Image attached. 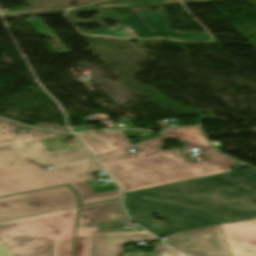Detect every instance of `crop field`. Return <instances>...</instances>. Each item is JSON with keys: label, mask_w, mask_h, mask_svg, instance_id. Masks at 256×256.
I'll return each instance as SVG.
<instances>
[{"label": "crop field", "mask_w": 256, "mask_h": 256, "mask_svg": "<svg viewBox=\"0 0 256 256\" xmlns=\"http://www.w3.org/2000/svg\"><path fill=\"white\" fill-rule=\"evenodd\" d=\"M160 134L161 137L97 157L125 193L231 172L227 164L236 163L218 152L203 154L210 160L191 163L178 149L161 151L162 140L167 137L183 141L184 154L194 148L200 152L214 150L197 128L164 130ZM134 147L140 152L131 154L128 149Z\"/></svg>", "instance_id": "8a807250"}, {"label": "crop field", "mask_w": 256, "mask_h": 256, "mask_svg": "<svg viewBox=\"0 0 256 256\" xmlns=\"http://www.w3.org/2000/svg\"><path fill=\"white\" fill-rule=\"evenodd\" d=\"M134 198L236 221L256 216V170L252 168L129 193Z\"/></svg>", "instance_id": "ac0d7876"}, {"label": "crop field", "mask_w": 256, "mask_h": 256, "mask_svg": "<svg viewBox=\"0 0 256 256\" xmlns=\"http://www.w3.org/2000/svg\"><path fill=\"white\" fill-rule=\"evenodd\" d=\"M100 170L84 147L51 153L38 141L0 148V196L94 180Z\"/></svg>", "instance_id": "34b2d1b8"}, {"label": "crop field", "mask_w": 256, "mask_h": 256, "mask_svg": "<svg viewBox=\"0 0 256 256\" xmlns=\"http://www.w3.org/2000/svg\"><path fill=\"white\" fill-rule=\"evenodd\" d=\"M79 208L0 222V238L15 256H53V243L74 239Z\"/></svg>", "instance_id": "412701ff"}, {"label": "crop field", "mask_w": 256, "mask_h": 256, "mask_svg": "<svg viewBox=\"0 0 256 256\" xmlns=\"http://www.w3.org/2000/svg\"><path fill=\"white\" fill-rule=\"evenodd\" d=\"M124 203L131 219L156 236L227 223L195 213L138 201L124 199ZM152 213L167 219L157 221L151 217Z\"/></svg>", "instance_id": "f4fd0767"}, {"label": "crop field", "mask_w": 256, "mask_h": 256, "mask_svg": "<svg viewBox=\"0 0 256 256\" xmlns=\"http://www.w3.org/2000/svg\"><path fill=\"white\" fill-rule=\"evenodd\" d=\"M35 202L37 206L29 203ZM78 206L67 186L0 198V221Z\"/></svg>", "instance_id": "dd49c442"}, {"label": "crop field", "mask_w": 256, "mask_h": 256, "mask_svg": "<svg viewBox=\"0 0 256 256\" xmlns=\"http://www.w3.org/2000/svg\"><path fill=\"white\" fill-rule=\"evenodd\" d=\"M165 243L192 256H232L219 225L177 233Z\"/></svg>", "instance_id": "e52e79f7"}, {"label": "crop field", "mask_w": 256, "mask_h": 256, "mask_svg": "<svg viewBox=\"0 0 256 256\" xmlns=\"http://www.w3.org/2000/svg\"><path fill=\"white\" fill-rule=\"evenodd\" d=\"M76 237H96L100 256L123 253L122 246L131 242L157 240L146 231L98 233V228H77Z\"/></svg>", "instance_id": "d8731c3e"}, {"label": "crop field", "mask_w": 256, "mask_h": 256, "mask_svg": "<svg viewBox=\"0 0 256 256\" xmlns=\"http://www.w3.org/2000/svg\"><path fill=\"white\" fill-rule=\"evenodd\" d=\"M233 256H256V219L220 225Z\"/></svg>", "instance_id": "5a996713"}, {"label": "crop field", "mask_w": 256, "mask_h": 256, "mask_svg": "<svg viewBox=\"0 0 256 256\" xmlns=\"http://www.w3.org/2000/svg\"><path fill=\"white\" fill-rule=\"evenodd\" d=\"M119 200L82 207L77 227H98L99 223L128 221Z\"/></svg>", "instance_id": "3316defc"}, {"label": "crop field", "mask_w": 256, "mask_h": 256, "mask_svg": "<svg viewBox=\"0 0 256 256\" xmlns=\"http://www.w3.org/2000/svg\"><path fill=\"white\" fill-rule=\"evenodd\" d=\"M18 128H30L20 124H15L11 121L0 119V147H6L11 145H17L27 142H33L48 138L59 137L68 134L56 133V132H46L43 130L32 129L22 133H17ZM28 132H32L28 134Z\"/></svg>", "instance_id": "28ad6ade"}, {"label": "crop field", "mask_w": 256, "mask_h": 256, "mask_svg": "<svg viewBox=\"0 0 256 256\" xmlns=\"http://www.w3.org/2000/svg\"><path fill=\"white\" fill-rule=\"evenodd\" d=\"M80 139L85 143L95 157L110 152L120 147L131 145V142L122 131H111L99 134L97 132L78 133ZM101 140L96 142L95 140Z\"/></svg>", "instance_id": "d1516ede"}, {"label": "crop field", "mask_w": 256, "mask_h": 256, "mask_svg": "<svg viewBox=\"0 0 256 256\" xmlns=\"http://www.w3.org/2000/svg\"><path fill=\"white\" fill-rule=\"evenodd\" d=\"M70 186H72L80 195L82 199V205L121 197L119 189L96 194L87 182L72 184Z\"/></svg>", "instance_id": "22f410ed"}, {"label": "crop field", "mask_w": 256, "mask_h": 256, "mask_svg": "<svg viewBox=\"0 0 256 256\" xmlns=\"http://www.w3.org/2000/svg\"><path fill=\"white\" fill-rule=\"evenodd\" d=\"M75 256H99L95 238H76Z\"/></svg>", "instance_id": "cbeb9de0"}, {"label": "crop field", "mask_w": 256, "mask_h": 256, "mask_svg": "<svg viewBox=\"0 0 256 256\" xmlns=\"http://www.w3.org/2000/svg\"><path fill=\"white\" fill-rule=\"evenodd\" d=\"M73 240L54 244V256H73Z\"/></svg>", "instance_id": "5142ce71"}, {"label": "crop field", "mask_w": 256, "mask_h": 256, "mask_svg": "<svg viewBox=\"0 0 256 256\" xmlns=\"http://www.w3.org/2000/svg\"><path fill=\"white\" fill-rule=\"evenodd\" d=\"M56 125H59V127H56ZM36 127H38V128H45V129L51 128L52 130H56V131H66V132L70 131L66 127H61L60 124H37Z\"/></svg>", "instance_id": "d9b57169"}, {"label": "crop field", "mask_w": 256, "mask_h": 256, "mask_svg": "<svg viewBox=\"0 0 256 256\" xmlns=\"http://www.w3.org/2000/svg\"><path fill=\"white\" fill-rule=\"evenodd\" d=\"M118 256V255H114ZM152 256H187L185 253H179L173 250H165L158 253L153 254Z\"/></svg>", "instance_id": "733c2abd"}, {"label": "crop field", "mask_w": 256, "mask_h": 256, "mask_svg": "<svg viewBox=\"0 0 256 256\" xmlns=\"http://www.w3.org/2000/svg\"><path fill=\"white\" fill-rule=\"evenodd\" d=\"M0 256H14L1 239H0Z\"/></svg>", "instance_id": "4a817a6b"}, {"label": "crop field", "mask_w": 256, "mask_h": 256, "mask_svg": "<svg viewBox=\"0 0 256 256\" xmlns=\"http://www.w3.org/2000/svg\"><path fill=\"white\" fill-rule=\"evenodd\" d=\"M167 247L165 245L163 246H159V247H154V250L155 251H158V250H162V249H166Z\"/></svg>", "instance_id": "bc2a9ffb"}, {"label": "crop field", "mask_w": 256, "mask_h": 256, "mask_svg": "<svg viewBox=\"0 0 256 256\" xmlns=\"http://www.w3.org/2000/svg\"><path fill=\"white\" fill-rule=\"evenodd\" d=\"M122 37H126V36H122ZM130 38H142V37H130Z\"/></svg>", "instance_id": "214f88e0"}]
</instances>
